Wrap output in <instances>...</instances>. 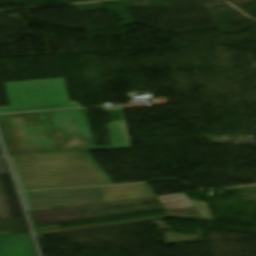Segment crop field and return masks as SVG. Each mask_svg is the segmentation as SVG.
<instances>
[{"instance_id": "obj_8", "label": "crop field", "mask_w": 256, "mask_h": 256, "mask_svg": "<svg viewBox=\"0 0 256 256\" xmlns=\"http://www.w3.org/2000/svg\"><path fill=\"white\" fill-rule=\"evenodd\" d=\"M174 197L175 199H171ZM179 197V198H176ZM160 201L163 203V205L166 207V209H174V208H186L190 207L188 202H192L194 200H188L184 195H173V196H163L159 197ZM164 199H168L164 201ZM182 200L183 202L178 203V201ZM168 202H172L168 204ZM185 204H188V206H185ZM175 205H179V207H173Z\"/></svg>"}, {"instance_id": "obj_3", "label": "crop field", "mask_w": 256, "mask_h": 256, "mask_svg": "<svg viewBox=\"0 0 256 256\" xmlns=\"http://www.w3.org/2000/svg\"><path fill=\"white\" fill-rule=\"evenodd\" d=\"M29 212L155 196L147 184L22 193Z\"/></svg>"}, {"instance_id": "obj_2", "label": "crop field", "mask_w": 256, "mask_h": 256, "mask_svg": "<svg viewBox=\"0 0 256 256\" xmlns=\"http://www.w3.org/2000/svg\"><path fill=\"white\" fill-rule=\"evenodd\" d=\"M10 158L21 191L111 184L88 152Z\"/></svg>"}, {"instance_id": "obj_7", "label": "crop field", "mask_w": 256, "mask_h": 256, "mask_svg": "<svg viewBox=\"0 0 256 256\" xmlns=\"http://www.w3.org/2000/svg\"><path fill=\"white\" fill-rule=\"evenodd\" d=\"M110 146L97 147L98 150L130 148L125 122L107 124Z\"/></svg>"}, {"instance_id": "obj_1", "label": "crop field", "mask_w": 256, "mask_h": 256, "mask_svg": "<svg viewBox=\"0 0 256 256\" xmlns=\"http://www.w3.org/2000/svg\"><path fill=\"white\" fill-rule=\"evenodd\" d=\"M85 109L0 116L9 155L97 150Z\"/></svg>"}, {"instance_id": "obj_6", "label": "crop field", "mask_w": 256, "mask_h": 256, "mask_svg": "<svg viewBox=\"0 0 256 256\" xmlns=\"http://www.w3.org/2000/svg\"><path fill=\"white\" fill-rule=\"evenodd\" d=\"M30 235L36 256L37 250L32 235ZM0 256H33L31 246L26 234L0 237Z\"/></svg>"}, {"instance_id": "obj_4", "label": "crop field", "mask_w": 256, "mask_h": 256, "mask_svg": "<svg viewBox=\"0 0 256 256\" xmlns=\"http://www.w3.org/2000/svg\"><path fill=\"white\" fill-rule=\"evenodd\" d=\"M11 108L0 113L53 110L78 107L69 104L64 79L5 83Z\"/></svg>"}, {"instance_id": "obj_5", "label": "crop field", "mask_w": 256, "mask_h": 256, "mask_svg": "<svg viewBox=\"0 0 256 256\" xmlns=\"http://www.w3.org/2000/svg\"><path fill=\"white\" fill-rule=\"evenodd\" d=\"M190 205H191V207L193 209H189V210L174 209V210H167V211L169 212V214L171 216L214 221L205 203H202V202H192V203H190ZM166 217H168V216H166ZM158 218H160V217H158ZM153 219H155V218L145 219V220H137V221H129V222L104 224V225H97V226H90V227H82V228H75V229H67V230L39 232V233H36V234L40 235V234H48V233L70 231V230H78V229L114 226V225H121V224L134 223V222H141V221H147V220H153Z\"/></svg>"}, {"instance_id": "obj_9", "label": "crop field", "mask_w": 256, "mask_h": 256, "mask_svg": "<svg viewBox=\"0 0 256 256\" xmlns=\"http://www.w3.org/2000/svg\"><path fill=\"white\" fill-rule=\"evenodd\" d=\"M105 110H115V109H123L122 106H118V107H108V108H104Z\"/></svg>"}]
</instances>
